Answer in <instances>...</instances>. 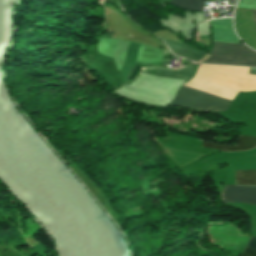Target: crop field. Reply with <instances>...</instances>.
Instances as JSON below:
<instances>
[{"label":"crop field","instance_id":"28ad6ade","mask_svg":"<svg viewBox=\"0 0 256 256\" xmlns=\"http://www.w3.org/2000/svg\"><path fill=\"white\" fill-rule=\"evenodd\" d=\"M252 14H253L254 22H255V25H256V11L252 10Z\"/></svg>","mask_w":256,"mask_h":256},{"label":"crop field","instance_id":"5a996713","mask_svg":"<svg viewBox=\"0 0 256 256\" xmlns=\"http://www.w3.org/2000/svg\"><path fill=\"white\" fill-rule=\"evenodd\" d=\"M170 4L192 11H202L204 0H172Z\"/></svg>","mask_w":256,"mask_h":256},{"label":"crop field","instance_id":"ac0d7876","mask_svg":"<svg viewBox=\"0 0 256 256\" xmlns=\"http://www.w3.org/2000/svg\"><path fill=\"white\" fill-rule=\"evenodd\" d=\"M231 100L183 88L179 90L170 105H178L200 111H225Z\"/></svg>","mask_w":256,"mask_h":256},{"label":"crop field","instance_id":"e52e79f7","mask_svg":"<svg viewBox=\"0 0 256 256\" xmlns=\"http://www.w3.org/2000/svg\"><path fill=\"white\" fill-rule=\"evenodd\" d=\"M202 147L214 148L222 151H241L256 147V137L239 136L237 146H227L210 142H202Z\"/></svg>","mask_w":256,"mask_h":256},{"label":"crop field","instance_id":"dd49c442","mask_svg":"<svg viewBox=\"0 0 256 256\" xmlns=\"http://www.w3.org/2000/svg\"><path fill=\"white\" fill-rule=\"evenodd\" d=\"M196 69H197V65L187 62V66L179 70H170L167 68H160V67H150L145 69L144 72L190 80V78L193 77Z\"/></svg>","mask_w":256,"mask_h":256},{"label":"crop field","instance_id":"3316defc","mask_svg":"<svg viewBox=\"0 0 256 256\" xmlns=\"http://www.w3.org/2000/svg\"><path fill=\"white\" fill-rule=\"evenodd\" d=\"M246 248L256 251V237H252V236L250 237ZM247 249L244 250L242 256H256L255 251H251Z\"/></svg>","mask_w":256,"mask_h":256},{"label":"crop field","instance_id":"f4fd0767","mask_svg":"<svg viewBox=\"0 0 256 256\" xmlns=\"http://www.w3.org/2000/svg\"><path fill=\"white\" fill-rule=\"evenodd\" d=\"M163 41L168 45V47L172 50V52L175 55L184 57L186 59L199 62L205 56H207L205 53H201L193 48L187 47L186 45L181 43L179 40H163ZM208 58H209V55L200 62L203 63Z\"/></svg>","mask_w":256,"mask_h":256},{"label":"crop field","instance_id":"d8731c3e","mask_svg":"<svg viewBox=\"0 0 256 256\" xmlns=\"http://www.w3.org/2000/svg\"><path fill=\"white\" fill-rule=\"evenodd\" d=\"M235 184L256 185V170L236 171Z\"/></svg>","mask_w":256,"mask_h":256},{"label":"crop field","instance_id":"8a807250","mask_svg":"<svg viewBox=\"0 0 256 256\" xmlns=\"http://www.w3.org/2000/svg\"><path fill=\"white\" fill-rule=\"evenodd\" d=\"M213 40L240 43L232 29V19L212 20ZM211 57L204 63L256 66V52L243 44L213 41Z\"/></svg>","mask_w":256,"mask_h":256},{"label":"crop field","instance_id":"34b2d1b8","mask_svg":"<svg viewBox=\"0 0 256 256\" xmlns=\"http://www.w3.org/2000/svg\"><path fill=\"white\" fill-rule=\"evenodd\" d=\"M138 44L119 40L114 60L121 78L126 81L137 59Z\"/></svg>","mask_w":256,"mask_h":256},{"label":"crop field","instance_id":"412701ff","mask_svg":"<svg viewBox=\"0 0 256 256\" xmlns=\"http://www.w3.org/2000/svg\"><path fill=\"white\" fill-rule=\"evenodd\" d=\"M221 199L223 203L239 202L256 205V186L226 185L221 193Z\"/></svg>","mask_w":256,"mask_h":256}]
</instances>
